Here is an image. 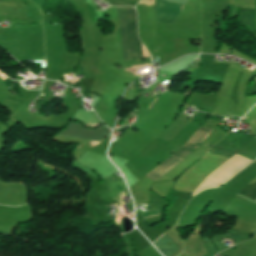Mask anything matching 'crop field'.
I'll list each match as a JSON object with an SVG mask.
<instances>
[{
    "instance_id": "obj_1",
    "label": "crop field",
    "mask_w": 256,
    "mask_h": 256,
    "mask_svg": "<svg viewBox=\"0 0 256 256\" xmlns=\"http://www.w3.org/2000/svg\"><path fill=\"white\" fill-rule=\"evenodd\" d=\"M116 9L118 12V22H119V28L121 31V42H122L124 61L126 62L131 60V53H132V60L141 59L143 58V56L144 58H146L147 56L149 57V54L147 51H146L147 52V56H146L145 49L141 44L142 52H143V56H142L139 39L137 38L135 10L132 8L125 7L126 18H127V23L129 27L130 42H131V53H130V43H129V36H128V28H127V23L125 18V9L124 7H116Z\"/></svg>"
},
{
    "instance_id": "obj_2",
    "label": "crop field",
    "mask_w": 256,
    "mask_h": 256,
    "mask_svg": "<svg viewBox=\"0 0 256 256\" xmlns=\"http://www.w3.org/2000/svg\"><path fill=\"white\" fill-rule=\"evenodd\" d=\"M204 129L205 128L201 127L195 133V135L178 152H176L170 158H168L163 163H161L154 171L147 174L146 177L152 178L154 175H156L158 172H160L162 169H164L166 166H168L170 163H172L174 160H176L178 157H180L186 151H188L190 149V147L193 145V143L197 140V138L204 131ZM211 131H213V130L206 128L205 131L202 133V135L198 138V140L194 143V145L191 147V149L188 152H186L184 155H182L180 158H178L176 161H174L172 164H170L168 167H166L164 170H162L156 176H154L151 180L161 178L166 173H168L170 170H172L174 167H176L178 164H180L182 161H184L186 158H188L190 155H192Z\"/></svg>"
},
{
    "instance_id": "obj_3",
    "label": "crop field",
    "mask_w": 256,
    "mask_h": 256,
    "mask_svg": "<svg viewBox=\"0 0 256 256\" xmlns=\"http://www.w3.org/2000/svg\"><path fill=\"white\" fill-rule=\"evenodd\" d=\"M93 130H95V129H93ZM110 133H111V131L108 130L106 127H102L95 131H92V130H88V129L80 127V124H78V123L70 122L68 128L65 129L59 135L100 142L105 137L110 135Z\"/></svg>"
},
{
    "instance_id": "obj_4",
    "label": "crop field",
    "mask_w": 256,
    "mask_h": 256,
    "mask_svg": "<svg viewBox=\"0 0 256 256\" xmlns=\"http://www.w3.org/2000/svg\"><path fill=\"white\" fill-rule=\"evenodd\" d=\"M180 13V4L156 0L157 22L172 25Z\"/></svg>"
},
{
    "instance_id": "obj_5",
    "label": "crop field",
    "mask_w": 256,
    "mask_h": 256,
    "mask_svg": "<svg viewBox=\"0 0 256 256\" xmlns=\"http://www.w3.org/2000/svg\"><path fill=\"white\" fill-rule=\"evenodd\" d=\"M164 234V233H163ZM162 234V235H163ZM161 235V236H162ZM160 236V237H161ZM159 237V238H160ZM156 241V240H155ZM154 241V242H155ZM153 242V243H154ZM152 243V244H153ZM164 256H170L172 255L176 250H178V246L171 241L165 234L159 239L157 240L154 244H153Z\"/></svg>"
},
{
    "instance_id": "obj_6",
    "label": "crop field",
    "mask_w": 256,
    "mask_h": 256,
    "mask_svg": "<svg viewBox=\"0 0 256 256\" xmlns=\"http://www.w3.org/2000/svg\"><path fill=\"white\" fill-rule=\"evenodd\" d=\"M254 19H255L254 10H251V9L240 10L239 20L241 23L247 25L250 31H254Z\"/></svg>"
},
{
    "instance_id": "obj_7",
    "label": "crop field",
    "mask_w": 256,
    "mask_h": 256,
    "mask_svg": "<svg viewBox=\"0 0 256 256\" xmlns=\"http://www.w3.org/2000/svg\"><path fill=\"white\" fill-rule=\"evenodd\" d=\"M110 1L137 4V2L139 0H110ZM114 2H111V4L123 5V6H135V5H132V4H123V3H114Z\"/></svg>"
},
{
    "instance_id": "obj_8",
    "label": "crop field",
    "mask_w": 256,
    "mask_h": 256,
    "mask_svg": "<svg viewBox=\"0 0 256 256\" xmlns=\"http://www.w3.org/2000/svg\"><path fill=\"white\" fill-rule=\"evenodd\" d=\"M199 127L200 126L195 125V124H193L191 122H189V124L186 126V128H189V129H192V130H195V131H197L199 129Z\"/></svg>"
},
{
    "instance_id": "obj_9",
    "label": "crop field",
    "mask_w": 256,
    "mask_h": 256,
    "mask_svg": "<svg viewBox=\"0 0 256 256\" xmlns=\"http://www.w3.org/2000/svg\"><path fill=\"white\" fill-rule=\"evenodd\" d=\"M156 214H158L157 211H152V212L143 213L142 215H143V217H146V216H151V215H156Z\"/></svg>"
}]
</instances>
